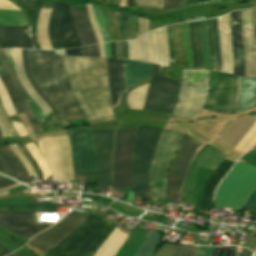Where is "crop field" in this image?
<instances>
[{
	"mask_svg": "<svg viewBox=\"0 0 256 256\" xmlns=\"http://www.w3.org/2000/svg\"><path fill=\"white\" fill-rule=\"evenodd\" d=\"M2 149L3 153L13 162L14 166L18 170L20 177L23 182L25 183H30L29 178L22 166V164L19 162V160L15 157V155L12 153V151L8 148L7 145L0 146Z\"/></svg>",
	"mask_w": 256,
	"mask_h": 256,
	"instance_id": "obj_36",
	"label": "crop field"
},
{
	"mask_svg": "<svg viewBox=\"0 0 256 256\" xmlns=\"http://www.w3.org/2000/svg\"><path fill=\"white\" fill-rule=\"evenodd\" d=\"M52 138L62 178L63 180H73L69 140L66 135ZM35 144L46 157L53 172V180H62L51 137L45 138Z\"/></svg>",
	"mask_w": 256,
	"mask_h": 256,
	"instance_id": "obj_13",
	"label": "crop field"
},
{
	"mask_svg": "<svg viewBox=\"0 0 256 256\" xmlns=\"http://www.w3.org/2000/svg\"><path fill=\"white\" fill-rule=\"evenodd\" d=\"M206 146H208V144H207ZM206 146H204V147L198 152V154H199ZM198 154H197V155L195 156V158L193 159V161H192V163H191V165H190V167H189V169H188V171H187V174H186V176H185V180H184V184H183V188H182V193H181V204H183V205H184V202H183L184 188H185V186H186V183H187V180H188V177H189L191 168H192V166H193V163H194L196 157L198 156Z\"/></svg>",
	"mask_w": 256,
	"mask_h": 256,
	"instance_id": "obj_60",
	"label": "crop field"
},
{
	"mask_svg": "<svg viewBox=\"0 0 256 256\" xmlns=\"http://www.w3.org/2000/svg\"><path fill=\"white\" fill-rule=\"evenodd\" d=\"M164 66L152 64V81L148 88L143 109L159 110L171 113L176 103L179 84L163 78Z\"/></svg>",
	"mask_w": 256,
	"mask_h": 256,
	"instance_id": "obj_11",
	"label": "crop field"
},
{
	"mask_svg": "<svg viewBox=\"0 0 256 256\" xmlns=\"http://www.w3.org/2000/svg\"><path fill=\"white\" fill-rule=\"evenodd\" d=\"M110 46H111V58H117L116 42L110 43Z\"/></svg>",
	"mask_w": 256,
	"mask_h": 256,
	"instance_id": "obj_65",
	"label": "crop field"
},
{
	"mask_svg": "<svg viewBox=\"0 0 256 256\" xmlns=\"http://www.w3.org/2000/svg\"><path fill=\"white\" fill-rule=\"evenodd\" d=\"M1 134V133H0Z\"/></svg>",
	"mask_w": 256,
	"mask_h": 256,
	"instance_id": "obj_80",
	"label": "crop field"
},
{
	"mask_svg": "<svg viewBox=\"0 0 256 256\" xmlns=\"http://www.w3.org/2000/svg\"><path fill=\"white\" fill-rule=\"evenodd\" d=\"M223 71L233 73L229 13L218 18Z\"/></svg>",
	"mask_w": 256,
	"mask_h": 256,
	"instance_id": "obj_24",
	"label": "crop field"
},
{
	"mask_svg": "<svg viewBox=\"0 0 256 256\" xmlns=\"http://www.w3.org/2000/svg\"><path fill=\"white\" fill-rule=\"evenodd\" d=\"M0 25H28V19L21 10H0Z\"/></svg>",
	"mask_w": 256,
	"mask_h": 256,
	"instance_id": "obj_31",
	"label": "crop field"
},
{
	"mask_svg": "<svg viewBox=\"0 0 256 256\" xmlns=\"http://www.w3.org/2000/svg\"><path fill=\"white\" fill-rule=\"evenodd\" d=\"M10 148L13 150V152L16 154V156L19 158V160L22 162L26 170L28 171L30 176L36 175L32 165L28 161V159L25 157V155L22 153V151L17 147L16 144L9 145Z\"/></svg>",
	"mask_w": 256,
	"mask_h": 256,
	"instance_id": "obj_38",
	"label": "crop field"
},
{
	"mask_svg": "<svg viewBox=\"0 0 256 256\" xmlns=\"http://www.w3.org/2000/svg\"><path fill=\"white\" fill-rule=\"evenodd\" d=\"M87 9H88L89 17H90V20H91L94 32H95V34L97 36L98 42L101 43V42H103L102 35H101L100 30L98 28V24L96 22V18H95L94 11L92 9V5L91 4H87Z\"/></svg>",
	"mask_w": 256,
	"mask_h": 256,
	"instance_id": "obj_45",
	"label": "crop field"
},
{
	"mask_svg": "<svg viewBox=\"0 0 256 256\" xmlns=\"http://www.w3.org/2000/svg\"><path fill=\"white\" fill-rule=\"evenodd\" d=\"M57 205L58 204L56 203L11 205V206H0V210H34V211L56 212Z\"/></svg>",
	"mask_w": 256,
	"mask_h": 256,
	"instance_id": "obj_33",
	"label": "crop field"
},
{
	"mask_svg": "<svg viewBox=\"0 0 256 256\" xmlns=\"http://www.w3.org/2000/svg\"><path fill=\"white\" fill-rule=\"evenodd\" d=\"M104 215L91 211L84 222L49 251V256H92L117 225Z\"/></svg>",
	"mask_w": 256,
	"mask_h": 256,
	"instance_id": "obj_4",
	"label": "crop field"
},
{
	"mask_svg": "<svg viewBox=\"0 0 256 256\" xmlns=\"http://www.w3.org/2000/svg\"><path fill=\"white\" fill-rule=\"evenodd\" d=\"M0 112H1L2 116L4 117V119H5L6 123H7V125L9 126V128H10V130H11L13 136H14V137H17L18 134H17V132L15 131V129L13 128L12 124L10 123V121H9V119H8L6 113H5V110H4V108H3V105H2V103H1V101H0Z\"/></svg>",
	"mask_w": 256,
	"mask_h": 256,
	"instance_id": "obj_59",
	"label": "crop field"
},
{
	"mask_svg": "<svg viewBox=\"0 0 256 256\" xmlns=\"http://www.w3.org/2000/svg\"><path fill=\"white\" fill-rule=\"evenodd\" d=\"M88 214L72 211L68 216L56 225L35 236L28 245L34 246L44 254L53 248L58 242L73 232Z\"/></svg>",
	"mask_w": 256,
	"mask_h": 256,
	"instance_id": "obj_16",
	"label": "crop field"
},
{
	"mask_svg": "<svg viewBox=\"0 0 256 256\" xmlns=\"http://www.w3.org/2000/svg\"><path fill=\"white\" fill-rule=\"evenodd\" d=\"M173 245L164 244L154 256H171L174 250Z\"/></svg>",
	"mask_w": 256,
	"mask_h": 256,
	"instance_id": "obj_53",
	"label": "crop field"
},
{
	"mask_svg": "<svg viewBox=\"0 0 256 256\" xmlns=\"http://www.w3.org/2000/svg\"><path fill=\"white\" fill-rule=\"evenodd\" d=\"M14 183H16V182L11 181L9 179H0V188L7 187V186L12 185Z\"/></svg>",
	"mask_w": 256,
	"mask_h": 256,
	"instance_id": "obj_62",
	"label": "crop field"
},
{
	"mask_svg": "<svg viewBox=\"0 0 256 256\" xmlns=\"http://www.w3.org/2000/svg\"><path fill=\"white\" fill-rule=\"evenodd\" d=\"M244 207L256 211V190L248 197Z\"/></svg>",
	"mask_w": 256,
	"mask_h": 256,
	"instance_id": "obj_54",
	"label": "crop field"
},
{
	"mask_svg": "<svg viewBox=\"0 0 256 256\" xmlns=\"http://www.w3.org/2000/svg\"><path fill=\"white\" fill-rule=\"evenodd\" d=\"M236 247H215L213 256H235Z\"/></svg>",
	"mask_w": 256,
	"mask_h": 256,
	"instance_id": "obj_47",
	"label": "crop field"
},
{
	"mask_svg": "<svg viewBox=\"0 0 256 256\" xmlns=\"http://www.w3.org/2000/svg\"><path fill=\"white\" fill-rule=\"evenodd\" d=\"M148 84L130 91L128 100H127V104L129 107L137 108V109L143 108Z\"/></svg>",
	"mask_w": 256,
	"mask_h": 256,
	"instance_id": "obj_34",
	"label": "crop field"
},
{
	"mask_svg": "<svg viewBox=\"0 0 256 256\" xmlns=\"http://www.w3.org/2000/svg\"><path fill=\"white\" fill-rule=\"evenodd\" d=\"M175 7L174 0H164V9Z\"/></svg>",
	"mask_w": 256,
	"mask_h": 256,
	"instance_id": "obj_63",
	"label": "crop field"
},
{
	"mask_svg": "<svg viewBox=\"0 0 256 256\" xmlns=\"http://www.w3.org/2000/svg\"><path fill=\"white\" fill-rule=\"evenodd\" d=\"M114 131L115 130H92L97 146L98 180L96 192L99 193L101 188L112 184L111 163Z\"/></svg>",
	"mask_w": 256,
	"mask_h": 256,
	"instance_id": "obj_17",
	"label": "crop field"
},
{
	"mask_svg": "<svg viewBox=\"0 0 256 256\" xmlns=\"http://www.w3.org/2000/svg\"><path fill=\"white\" fill-rule=\"evenodd\" d=\"M242 33L246 54L247 77L255 78L256 75V48L252 27V9L242 11Z\"/></svg>",
	"mask_w": 256,
	"mask_h": 256,
	"instance_id": "obj_21",
	"label": "crop field"
},
{
	"mask_svg": "<svg viewBox=\"0 0 256 256\" xmlns=\"http://www.w3.org/2000/svg\"><path fill=\"white\" fill-rule=\"evenodd\" d=\"M81 45L97 43L86 8H70Z\"/></svg>",
	"mask_w": 256,
	"mask_h": 256,
	"instance_id": "obj_25",
	"label": "crop field"
},
{
	"mask_svg": "<svg viewBox=\"0 0 256 256\" xmlns=\"http://www.w3.org/2000/svg\"><path fill=\"white\" fill-rule=\"evenodd\" d=\"M0 173L7 174V175L21 181L15 167L7 159V157L2 153L1 150H0Z\"/></svg>",
	"mask_w": 256,
	"mask_h": 256,
	"instance_id": "obj_37",
	"label": "crop field"
},
{
	"mask_svg": "<svg viewBox=\"0 0 256 256\" xmlns=\"http://www.w3.org/2000/svg\"><path fill=\"white\" fill-rule=\"evenodd\" d=\"M161 39H162V45L164 49V65L168 66L169 54H168V46H167V39H166V26L161 28Z\"/></svg>",
	"mask_w": 256,
	"mask_h": 256,
	"instance_id": "obj_49",
	"label": "crop field"
},
{
	"mask_svg": "<svg viewBox=\"0 0 256 256\" xmlns=\"http://www.w3.org/2000/svg\"><path fill=\"white\" fill-rule=\"evenodd\" d=\"M8 256H12V255L10 254V255H8Z\"/></svg>",
	"mask_w": 256,
	"mask_h": 256,
	"instance_id": "obj_78",
	"label": "crop field"
},
{
	"mask_svg": "<svg viewBox=\"0 0 256 256\" xmlns=\"http://www.w3.org/2000/svg\"><path fill=\"white\" fill-rule=\"evenodd\" d=\"M199 144L187 134L181 142L168 176V203L179 204L183 178Z\"/></svg>",
	"mask_w": 256,
	"mask_h": 256,
	"instance_id": "obj_14",
	"label": "crop field"
},
{
	"mask_svg": "<svg viewBox=\"0 0 256 256\" xmlns=\"http://www.w3.org/2000/svg\"><path fill=\"white\" fill-rule=\"evenodd\" d=\"M67 55L82 56L81 48L65 50Z\"/></svg>",
	"mask_w": 256,
	"mask_h": 256,
	"instance_id": "obj_61",
	"label": "crop field"
},
{
	"mask_svg": "<svg viewBox=\"0 0 256 256\" xmlns=\"http://www.w3.org/2000/svg\"><path fill=\"white\" fill-rule=\"evenodd\" d=\"M18 2L26 8L27 13L32 18V22L36 23L38 13L41 8V0H18ZM31 30H32V36H33L35 48L40 49L37 44V40L35 36L36 24L32 25Z\"/></svg>",
	"mask_w": 256,
	"mask_h": 256,
	"instance_id": "obj_32",
	"label": "crop field"
},
{
	"mask_svg": "<svg viewBox=\"0 0 256 256\" xmlns=\"http://www.w3.org/2000/svg\"><path fill=\"white\" fill-rule=\"evenodd\" d=\"M175 2H176V7L181 6V2H180V0H175Z\"/></svg>",
	"mask_w": 256,
	"mask_h": 256,
	"instance_id": "obj_73",
	"label": "crop field"
},
{
	"mask_svg": "<svg viewBox=\"0 0 256 256\" xmlns=\"http://www.w3.org/2000/svg\"><path fill=\"white\" fill-rule=\"evenodd\" d=\"M215 1H219V0H211V3H212V2H215Z\"/></svg>",
	"mask_w": 256,
	"mask_h": 256,
	"instance_id": "obj_76",
	"label": "crop field"
},
{
	"mask_svg": "<svg viewBox=\"0 0 256 256\" xmlns=\"http://www.w3.org/2000/svg\"><path fill=\"white\" fill-rule=\"evenodd\" d=\"M196 247L176 246L173 256H193Z\"/></svg>",
	"mask_w": 256,
	"mask_h": 256,
	"instance_id": "obj_46",
	"label": "crop field"
},
{
	"mask_svg": "<svg viewBox=\"0 0 256 256\" xmlns=\"http://www.w3.org/2000/svg\"><path fill=\"white\" fill-rule=\"evenodd\" d=\"M71 154L74 174H97V155L90 129L74 134Z\"/></svg>",
	"mask_w": 256,
	"mask_h": 256,
	"instance_id": "obj_15",
	"label": "crop field"
},
{
	"mask_svg": "<svg viewBox=\"0 0 256 256\" xmlns=\"http://www.w3.org/2000/svg\"><path fill=\"white\" fill-rule=\"evenodd\" d=\"M51 9H42L39 14L37 37L41 49H52L49 43V36L47 32L48 19Z\"/></svg>",
	"mask_w": 256,
	"mask_h": 256,
	"instance_id": "obj_30",
	"label": "crop field"
},
{
	"mask_svg": "<svg viewBox=\"0 0 256 256\" xmlns=\"http://www.w3.org/2000/svg\"><path fill=\"white\" fill-rule=\"evenodd\" d=\"M230 26L234 59V74L244 76L245 55L241 33V11H234L230 13Z\"/></svg>",
	"mask_w": 256,
	"mask_h": 256,
	"instance_id": "obj_20",
	"label": "crop field"
},
{
	"mask_svg": "<svg viewBox=\"0 0 256 256\" xmlns=\"http://www.w3.org/2000/svg\"><path fill=\"white\" fill-rule=\"evenodd\" d=\"M207 39H208V47H209V53H210L211 69L216 70L215 51H214L213 40H212L211 19L207 20Z\"/></svg>",
	"mask_w": 256,
	"mask_h": 256,
	"instance_id": "obj_40",
	"label": "crop field"
},
{
	"mask_svg": "<svg viewBox=\"0 0 256 256\" xmlns=\"http://www.w3.org/2000/svg\"><path fill=\"white\" fill-rule=\"evenodd\" d=\"M138 22H139V26H138V36H139L147 32L148 20L145 18H139Z\"/></svg>",
	"mask_w": 256,
	"mask_h": 256,
	"instance_id": "obj_58",
	"label": "crop field"
},
{
	"mask_svg": "<svg viewBox=\"0 0 256 256\" xmlns=\"http://www.w3.org/2000/svg\"><path fill=\"white\" fill-rule=\"evenodd\" d=\"M161 236L150 233L148 239L135 256H151L154 248L158 244Z\"/></svg>",
	"mask_w": 256,
	"mask_h": 256,
	"instance_id": "obj_35",
	"label": "crop field"
},
{
	"mask_svg": "<svg viewBox=\"0 0 256 256\" xmlns=\"http://www.w3.org/2000/svg\"><path fill=\"white\" fill-rule=\"evenodd\" d=\"M14 49H15V53H16L19 75H20L23 83L25 84L29 94L34 98V100L41 106V108L44 111H46L48 113L51 112V110L49 109L46 102L35 92V90L30 85V83L28 82V80L26 78L24 68H23L21 49H19V48H14ZM14 49L13 48L12 49H4V52L11 64L24 92L26 93L39 121H43L45 118V115L47 113H45L40 108V106L33 100V98L28 94L25 86L23 85V83L18 75V72H17ZM16 76L14 75L3 51L0 50V79L10 97V100H11L17 114L25 112L31 125H32L33 130L34 131L40 130V129H42L41 125H40L34 111L32 110Z\"/></svg>",
	"mask_w": 256,
	"mask_h": 256,
	"instance_id": "obj_3",
	"label": "crop field"
},
{
	"mask_svg": "<svg viewBox=\"0 0 256 256\" xmlns=\"http://www.w3.org/2000/svg\"><path fill=\"white\" fill-rule=\"evenodd\" d=\"M107 61L112 105L115 106L121 93L126 90L125 60L107 58ZM150 67L149 63L126 60L127 87L150 77Z\"/></svg>",
	"mask_w": 256,
	"mask_h": 256,
	"instance_id": "obj_8",
	"label": "crop field"
},
{
	"mask_svg": "<svg viewBox=\"0 0 256 256\" xmlns=\"http://www.w3.org/2000/svg\"><path fill=\"white\" fill-rule=\"evenodd\" d=\"M19 185H21V184L16 183V184H14V185H12V186H9V187H7V188L0 189V195L8 194L9 192H8L7 190L12 189V188H14V187H17V186H19Z\"/></svg>",
	"mask_w": 256,
	"mask_h": 256,
	"instance_id": "obj_64",
	"label": "crop field"
},
{
	"mask_svg": "<svg viewBox=\"0 0 256 256\" xmlns=\"http://www.w3.org/2000/svg\"><path fill=\"white\" fill-rule=\"evenodd\" d=\"M256 187V166L236 162L216 191L214 206L241 209Z\"/></svg>",
	"mask_w": 256,
	"mask_h": 256,
	"instance_id": "obj_6",
	"label": "crop field"
},
{
	"mask_svg": "<svg viewBox=\"0 0 256 256\" xmlns=\"http://www.w3.org/2000/svg\"><path fill=\"white\" fill-rule=\"evenodd\" d=\"M34 48L30 27H0V48Z\"/></svg>",
	"mask_w": 256,
	"mask_h": 256,
	"instance_id": "obj_22",
	"label": "crop field"
},
{
	"mask_svg": "<svg viewBox=\"0 0 256 256\" xmlns=\"http://www.w3.org/2000/svg\"><path fill=\"white\" fill-rule=\"evenodd\" d=\"M184 40L186 43L187 54H188V69H193V56L189 43V23H184Z\"/></svg>",
	"mask_w": 256,
	"mask_h": 256,
	"instance_id": "obj_41",
	"label": "crop field"
},
{
	"mask_svg": "<svg viewBox=\"0 0 256 256\" xmlns=\"http://www.w3.org/2000/svg\"><path fill=\"white\" fill-rule=\"evenodd\" d=\"M127 5L129 6H135V0H128Z\"/></svg>",
	"mask_w": 256,
	"mask_h": 256,
	"instance_id": "obj_72",
	"label": "crop field"
},
{
	"mask_svg": "<svg viewBox=\"0 0 256 256\" xmlns=\"http://www.w3.org/2000/svg\"><path fill=\"white\" fill-rule=\"evenodd\" d=\"M170 62H187L183 41V23L167 26Z\"/></svg>",
	"mask_w": 256,
	"mask_h": 256,
	"instance_id": "obj_23",
	"label": "crop field"
},
{
	"mask_svg": "<svg viewBox=\"0 0 256 256\" xmlns=\"http://www.w3.org/2000/svg\"><path fill=\"white\" fill-rule=\"evenodd\" d=\"M201 1H210V0H198V2H201Z\"/></svg>",
	"mask_w": 256,
	"mask_h": 256,
	"instance_id": "obj_75",
	"label": "crop field"
},
{
	"mask_svg": "<svg viewBox=\"0 0 256 256\" xmlns=\"http://www.w3.org/2000/svg\"><path fill=\"white\" fill-rule=\"evenodd\" d=\"M129 59L163 65L159 28L128 41Z\"/></svg>",
	"mask_w": 256,
	"mask_h": 256,
	"instance_id": "obj_18",
	"label": "crop field"
},
{
	"mask_svg": "<svg viewBox=\"0 0 256 256\" xmlns=\"http://www.w3.org/2000/svg\"><path fill=\"white\" fill-rule=\"evenodd\" d=\"M136 131L137 129H120L116 131L113 179L117 188L132 187L130 158Z\"/></svg>",
	"mask_w": 256,
	"mask_h": 256,
	"instance_id": "obj_12",
	"label": "crop field"
},
{
	"mask_svg": "<svg viewBox=\"0 0 256 256\" xmlns=\"http://www.w3.org/2000/svg\"><path fill=\"white\" fill-rule=\"evenodd\" d=\"M183 136V133L167 130L163 131L150 175L154 196L166 199V178L168 168Z\"/></svg>",
	"mask_w": 256,
	"mask_h": 256,
	"instance_id": "obj_9",
	"label": "crop field"
},
{
	"mask_svg": "<svg viewBox=\"0 0 256 256\" xmlns=\"http://www.w3.org/2000/svg\"><path fill=\"white\" fill-rule=\"evenodd\" d=\"M59 31L65 48L80 46L73 19L70 15L69 4L66 3H64V11L60 19Z\"/></svg>",
	"mask_w": 256,
	"mask_h": 256,
	"instance_id": "obj_28",
	"label": "crop field"
},
{
	"mask_svg": "<svg viewBox=\"0 0 256 256\" xmlns=\"http://www.w3.org/2000/svg\"><path fill=\"white\" fill-rule=\"evenodd\" d=\"M237 76L210 70L209 92L203 108L235 114Z\"/></svg>",
	"mask_w": 256,
	"mask_h": 256,
	"instance_id": "obj_10",
	"label": "crop field"
},
{
	"mask_svg": "<svg viewBox=\"0 0 256 256\" xmlns=\"http://www.w3.org/2000/svg\"><path fill=\"white\" fill-rule=\"evenodd\" d=\"M212 29H213V38H214V44H215V50H216L217 70L222 71L219 40H218L217 18L212 19Z\"/></svg>",
	"mask_w": 256,
	"mask_h": 256,
	"instance_id": "obj_39",
	"label": "crop field"
},
{
	"mask_svg": "<svg viewBox=\"0 0 256 256\" xmlns=\"http://www.w3.org/2000/svg\"><path fill=\"white\" fill-rule=\"evenodd\" d=\"M49 122L52 124V125H57L59 126V122L57 121L55 115L52 116V118L49 120Z\"/></svg>",
	"mask_w": 256,
	"mask_h": 256,
	"instance_id": "obj_69",
	"label": "crop field"
},
{
	"mask_svg": "<svg viewBox=\"0 0 256 256\" xmlns=\"http://www.w3.org/2000/svg\"><path fill=\"white\" fill-rule=\"evenodd\" d=\"M190 43L194 56V69H199L198 53L195 44V23L190 24Z\"/></svg>",
	"mask_w": 256,
	"mask_h": 256,
	"instance_id": "obj_43",
	"label": "crop field"
},
{
	"mask_svg": "<svg viewBox=\"0 0 256 256\" xmlns=\"http://www.w3.org/2000/svg\"><path fill=\"white\" fill-rule=\"evenodd\" d=\"M63 59L73 91L88 122L114 119L106 58L63 55Z\"/></svg>",
	"mask_w": 256,
	"mask_h": 256,
	"instance_id": "obj_2",
	"label": "crop field"
},
{
	"mask_svg": "<svg viewBox=\"0 0 256 256\" xmlns=\"http://www.w3.org/2000/svg\"><path fill=\"white\" fill-rule=\"evenodd\" d=\"M214 247L200 246L196 256H212Z\"/></svg>",
	"mask_w": 256,
	"mask_h": 256,
	"instance_id": "obj_57",
	"label": "crop field"
},
{
	"mask_svg": "<svg viewBox=\"0 0 256 256\" xmlns=\"http://www.w3.org/2000/svg\"><path fill=\"white\" fill-rule=\"evenodd\" d=\"M187 1H188V4L197 2V0H187Z\"/></svg>",
	"mask_w": 256,
	"mask_h": 256,
	"instance_id": "obj_74",
	"label": "crop field"
},
{
	"mask_svg": "<svg viewBox=\"0 0 256 256\" xmlns=\"http://www.w3.org/2000/svg\"><path fill=\"white\" fill-rule=\"evenodd\" d=\"M233 162L223 159V161L219 164L218 168L208 179L201 195V200L199 207L201 208H209L212 195L215 191V188L218 182L222 179V177L229 171Z\"/></svg>",
	"mask_w": 256,
	"mask_h": 256,
	"instance_id": "obj_27",
	"label": "crop field"
},
{
	"mask_svg": "<svg viewBox=\"0 0 256 256\" xmlns=\"http://www.w3.org/2000/svg\"><path fill=\"white\" fill-rule=\"evenodd\" d=\"M162 130L145 126H139L138 128L131 159L132 182L136 195L151 197L148 175L156 144Z\"/></svg>",
	"mask_w": 256,
	"mask_h": 256,
	"instance_id": "obj_5",
	"label": "crop field"
},
{
	"mask_svg": "<svg viewBox=\"0 0 256 256\" xmlns=\"http://www.w3.org/2000/svg\"><path fill=\"white\" fill-rule=\"evenodd\" d=\"M27 78L47 102L63 127L67 121L85 119L72 92L62 55L22 49Z\"/></svg>",
	"mask_w": 256,
	"mask_h": 256,
	"instance_id": "obj_1",
	"label": "crop field"
},
{
	"mask_svg": "<svg viewBox=\"0 0 256 256\" xmlns=\"http://www.w3.org/2000/svg\"><path fill=\"white\" fill-rule=\"evenodd\" d=\"M137 6H152L163 9V0H137Z\"/></svg>",
	"mask_w": 256,
	"mask_h": 256,
	"instance_id": "obj_50",
	"label": "crop field"
},
{
	"mask_svg": "<svg viewBox=\"0 0 256 256\" xmlns=\"http://www.w3.org/2000/svg\"><path fill=\"white\" fill-rule=\"evenodd\" d=\"M9 253H12V252H10V251L7 250L5 247H3V246L0 245V256H5V255H7V254H9Z\"/></svg>",
	"mask_w": 256,
	"mask_h": 256,
	"instance_id": "obj_67",
	"label": "crop field"
},
{
	"mask_svg": "<svg viewBox=\"0 0 256 256\" xmlns=\"http://www.w3.org/2000/svg\"><path fill=\"white\" fill-rule=\"evenodd\" d=\"M83 56H94L99 57L98 44L91 45L89 47L82 48Z\"/></svg>",
	"mask_w": 256,
	"mask_h": 256,
	"instance_id": "obj_51",
	"label": "crop field"
},
{
	"mask_svg": "<svg viewBox=\"0 0 256 256\" xmlns=\"http://www.w3.org/2000/svg\"><path fill=\"white\" fill-rule=\"evenodd\" d=\"M99 47H100V57H105L103 43L99 44Z\"/></svg>",
	"mask_w": 256,
	"mask_h": 256,
	"instance_id": "obj_71",
	"label": "crop field"
},
{
	"mask_svg": "<svg viewBox=\"0 0 256 256\" xmlns=\"http://www.w3.org/2000/svg\"><path fill=\"white\" fill-rule=\"evenodd\" d=\"M0 131L2 133L3 137H8V136H12L8 126L6 125L3 117L0 114Z\"/></svg>",
	"mask_w": 256,
	"mask_h": 256,
	"instance_id": "obj_56",
	"label": "crop field"
},
{
	"mask_svg": "<svg viewBox=\"0 0 256 256\" xmlns=\"http://www.w3.org/2000/svg\"><path fill=\"white\" fill-rule=\"evenodd\" d=\"M127 18V11L122 10L121 17H120V32L122 35V39L125 40V22Z\"/></svg>",
	"mask_w": 256,
	"mask_h": 256,
	"instance_id": "obj_55",
	"label": "crop field"
},
{
	"mask_svg": "<svg viewBox=\"0 0 256 256\" xmlns=\"http://www.w3.org/2000/svg\"><path fill=\"white\" fill-rule=\"evenodd\" d=\"M62 6H63V3L54 2L51 16H50L48 31H49V36H50L53 49L64 48L61 43V39L58 31V23L62 15Z\"/></svg>",
	"mask_w": 256,
	"mask_h": 256,
	"instance_id": "obj_29",
	"label": "crop field"
},
{
	"mask_svg": "<svg viewBox=\"0 0 256 256\" xmlns=\"http://www.w3.org/2000/svg\"><path fill=\"white\" fill-rule=\"evenodd\" d=\"M0 178H4V177H1V176H0Z\"/></svg>",
	"mask_w": 256,
	"mask_h": 256,
	"instance_id": "obj_79",
	"label": "crop field"
},
{
	"mask_svg": "<svg viewBox=\"0 0 256 256\" xmlns=\"http://www.w3.org/2000/svg\"><path fill=\"white\" fill-rule=\"evenodd\" d=\"M252 150H256V146Z\"/></svg>",
	"mask_w": 256,
	"mask_h": 256,
	"instance_id": "obj_77",
	"label": "crop field"
},
{
	"mask_svg": "<svg viewBox=\"0 0 256 256\" xmlns=\"http://www.w3.org/2000/svg\"><path fill=\"white\" fill-rule=\"evenodd\" d=\"M124 58L128 59L127 41H123Z\"/></svg>",
	"mask_w": 256,
	"mask_h": 256,
	"instance_id": "obj_68",
	"label": "crop field"
},
{
	"mask_svg": "<svg viewBox=\"0 0 256 256\" xmlns=\"http://www.w3.org/2000/svg\"><path fill=\"white\" fill-rule=\"evenodd\" d=\"M196 44H197V49L199 53L200 69H205L204 53H203L201 38H200V22H196Z\"/></svg>",
	"mask_w": 256,
	"mask_h": 256,
	"instance_id": "obj_42",
	"label": "crop field"
},
{
	"mask_svg": "<svg viewBox=\"0 0 256 256\" xmlns=\"http://www.w3.org/2000/svg\"><path fill=\"white\" fill-rule=\"evenodd\" d=\"M105 45V49H106V57L110 58V47H109V43H104Z\"/></svg>",
	"mask_w": 256,
	"mask_h": 256,
	"instance_id": "obj_70",
	"label": "crop field"
},
{
	"mask_svg": "<svg viewBox=\"0 0 256 256\" xmlns=\"http://www.w3.org/2000/svg\"><path fill=\"white\" fill-rule=\"evenodd\" d=\"M238 256H252V252H250L248 249L242 248V253H238Z\"/></svg>",
	"mask_w": 256,
	"mask_h": 256,
	"instance_id": "obj_66",
	"label": "crop field"
},
{
	"mask_svg": "<svg viewBox=\"0 0 256 256\" xmlns=\"http://www.w3.org/2000/svg\"><path fill=\"white\" fill-rule=\"evenodd\" d=\"M93 9L95 11L100 30L102 32L104 42H107V41H109V39H108V34H107L106 27H105V23H104V20L102 18V15H101L100 7H96V8H93Z\"/></svg>",
	"mask_w": 256,
	"mask_h": 256,
	"instance_id": "obj_48",
	"label": "crop field"
},
{
	"mask_svg": "<svg viewBox=\"0 0 256 256\" xmlns=\"http://www.w3.org/2000/svg\"><path fill=\"white\" fill-rule=\"evenodd\" d=\"M238 94V91H237ZM237 102V97H236ZM256 106V79L239 76L238 103H236L237 113L247 108Z\"/></svg>",
	"mask_w": 256,
	"mask_h": 256,
	"instance_id": "obj_26",
	"label": "crop field"
},
{
	"mask_svg": "<svg viewBox=\"0 0 256 256\" xmlns=\"http://www.w3.org/2000/svg\"><path fill=\"white\" fill-rule=\"evenodd\" d=\"M209 70H182L178 103L171 117L195 119L208 92Z\"/></svg>",
	"mask_w": 256,
	"mask_h": 256,
	"instance_id": "obj_7",
	"label": "crop field"
},
{
	"mask_svg": "<svg viewBox=\"0 0 256 256\" xmlns=\"http://www.w3.org/2000/svg\"><path fill=\"white\" fill-rule=\"evenodd\" d=\"M35 212H0V224L24 236L28 240L50 226L34 225Z\"/></svg>",
	"mask_w": 256,
	"mask_h": 256,
	"instance_id": "obj_19",
	"label": "crop field"
},
{
	"mask_svg": "<svg viewBox=\"0 0 256 256\" xmlns=\"http://www.w3.org/2000/svg\"><path fill=\"white\" fill-rule=\"evenodd\" d=\"M18 146L21 148V150L23 151V153L27 156V158L30 160V162L32 163L33 167L35 168L37 174H38V180H43L42 175L40 173V169L38 167V165L36 164L35 160L32 158V156L28 153V151L23 147L22 144H18Z\"/></svg>",
	"mask_w": 256,
	"mask_h": 256,
	"instance_id": "obj_52",
	"label": "crop field"
},
{
	"mask_svg": "<svg viewBox=\"0 0 256 256\" xmlns=\"http://www.w3.org/2000/svg\"><path fill=\"white\" fill-rule=\"evenodd\" d=\"M201 38H202L203 49L205 53L206 69H210L209 53H208L207 40H206V21L201 22Z\"/></svg>",
	"mask_w": 256,
	"mask_h": 256,
	"instance_id": "obj_44",
	"label": "crop field"
}]
</instances>
